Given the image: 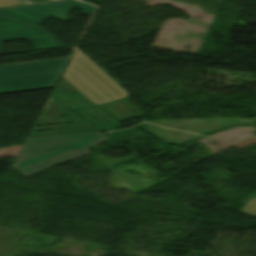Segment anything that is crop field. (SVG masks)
Here are the masks:
<instances>
[{
    "mask_svg": "<svg viewBox=\"0 0 256 256\" xmlns=\"http://www.w3.org/2000/svg\"><path fill=\"white\" fill-rule=\"evenodd\" d=\"M93 13L94 7L78 0H63L50 3L22 6L0 10L1 41L28 37L36 50L65 47L40 27L49 15L65 20L74 8ZM25 29V30H22Z\"/></svg>",
    "mask_w": 256,
    "mask_h": 256,
    "instance_id": "crop-field-1",
    "label": "crop field"
},
{
    "mask_svg": "<svg viewBox=\"0 0 256 256\" xmlns=\"http://www.w3.org/2000/svg\"><path fill=\"white\" fill-rule=\"evenodd\" d=\"M108 138L102 132L26 138L13 167L28 176L87 155Z\"/></svg>",
    "mask_w": 256,
    "mask_h": 256,
    "instance_id": "crop-field-2",
    "label": "crop field"
},
{
    "mask_svg": "<svg viewBox=\"0 0 256 256\" xmlns=\"http://www.w3.org/2000/svg\"><path fill=\"white\" fill-rule=\"evenodd\" d=\"M62 77L95 105L129 96L78 48Z\"/></svg>",
    "mask_w": 256,
    "mask_h": 256,
    "instance_id": "crop-field-3",
    "label": "crop field"
},
{
    "mask_svg": "<svg viewBox=\"0 0 256 256\" xmlns=\"http://www.w3.org/2000/svg\"><path fill=\"white\" fill-rule=\"evenodd\" d=\"M69 60L0 66V93L55 87Z\"/></svg>",
    "mask_w": 256,
    "mask_h": 256,
    "instance_id": "crop-field-4",
    "label": "crop field"
},
{
    "mask_svg": "<svg viewBox=\"0 0 256 256\" xmlns=\"http://www.w3.org/2000/svg\"><path fill=\"white\" fill-rule=\"evenodd\" d=\"M242 213L256 216V198L251 200L242 210Z\"/></svg>",
    "mask_w": 256,
    "mask_h": 256,
    "instance_id": "crop-field-5",
    "label": "crop field"
},
{
    "mask_svg": "<svg viewBox=\"0 0 256 256\" xmlns=\"http://www.w3.org/2000/svg\"><path fill=\"white\" fill-rule=\"evenodd\" d=\"M22 0H0V7L23 4Z\"/></svg>",
    "mask_w": 256,
    "mask_h": 256,
    "instance_id": "crop-field-6",
    "label": "crop field"
}]
</instances>
